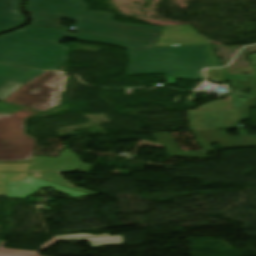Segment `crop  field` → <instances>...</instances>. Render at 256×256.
Listing matches in <instances>:
<instances>
[{
  "label": "crop field",
  "mask_w": 256,
  "mask_h": 256,
  "mask_svg": "<svg viewBox=\"0 0 256 256\" xmlns=\"http://www.w3.org/2000/svg\"><path fill=\"white\" fill-rule=\"evenodd\" d=\"M205 73L207 75V78L211 80H214L216 82H225L221 69H211Z\"/></svg>",
  "instance_id": "10"
},
{
  "label": "crop field",
  "mask_w": 256,
  "mask_h": 256,
  "mask_svg": "<svg viewBox=\"0 0 256 256\" xmlns=\"http://www.w3.org/2000/svg\"><path fill=\"white\" fill-rule=\"evenodd\" d=\"M180 45H210L191 26H165L155 47Z\"/></svg>",
  "instance_id": "6"
},
{
  "label": "crop field",
  "mask_w": 256,
  "mask_h": 256,
  "mask_svg": "<svg viewBox=\"0 0 256 256\" xmlns=\"http://www.w3.org/2000/svg\"><path fill=\"white\" fill-rule=\"evenodd\" d=\"M152 51H128L131 62L128 74L165 73L166 84L176 78L203 79L202 69L212 67L206 46L151 48Z\"/></svg>",
  "instance_id": "2"
},
{
  "label": "crop field",
  "mask_w": 256,
  "mask_h": 256,
  "mask_svg": "<svg viewBox=\"0 0 256 256\" xmlns=\"http://www.w3.org/2000/svg\"><path fill=\"white\" fill-rule=\"evenodd\" d=\"M63 76L61 73L48 70L26 83L6 102L27 108H30L29 105L35 104L31 109L44 112L60 104V83ZM36 87L40 89L35 94H30Z\"/></svg>",
  "instance_id": "4"
},
{
  "label": "crop field",
  "mask_w": 256,
  "mask_h": 256,
  "mask_svg": "<svg viewBox=\"0 0 256 256\" xmlns=\"http://www.w3.org/2000/svg\"><path fill=\"white\" fill-rule=\"evenodd\" d=\"M83 3L81 0H28L27 13L32 18L29 25L64 29L59 21L65 18L77 22L73 31L153 43L162 33L159 27L111 22V14L86 12L87 5Z\"/></svg>",
  "instance_id": "1"
},
{
  "label": "crop field",
  "mask_w": 256,
  "mask_h": 256,
  "mask_svg": "<svg viewBox=\"0 0 256 256\" xmlns=\"http://www.w3.org/2000/svg\"><path fill=\"white\" fill-rule=\"evenodd\" d=\"M55 241H57V239H55V238L51 239L50 241H48L47 243H45L44 245H42L39 250H42V249L46 248L47 246L51 245V244L54 243Z\"/></svg>",
  "instance_id": "12"
},
{
  "label": "crop field",
  "mask_w": 256,
  "mask_h": 256,
  "mask_svg": "<svg viewBox=\"0 0 256 256\" xmlns=\"http://www.w3.org/2000/svg\"><path fill=\"white\" fill-rule=\"evenodd\" d=\"M4 243L2 241L0 245V256H39L36 252L4 249Z\"/></svg>",
  "instance_id": "9"
},
{
  "label": "crop field",
  "mask_w": 256,
  "mask_h": 256,
  "mask_svg": "<svg viewBox=\"0 0 256 256\" xmlns=\"http://www.w3.org/2000/svg\"><path fill=\"white\" fill-rule=\"evenodd\" d=\"M69 47L61 44L0 37V62L54 70L67 61Z\"/></svg>",
  "instance_id": "3"
},
{
  "label": "crop field",
  "mask_w": 256,
  "mask_h": 256,
  "mask_svg": "<svg viewBox=\"0 0 256 256\" xmlns=\"http://www.w3.org/2000/svg\"><path fill=\"white\" fill-rule=\"evenodd\" d=\"M19 0H0V30L23 21L17 10Z\"/></svg>",
  "instance_id": "7"
},
{
  "label": "crop field",
  "mask_w": 256,
  "mask_h": 256,
  "mask_svg": "<svg viewBox=\"0 0 256 256\" xmlns=\"http://www.w3.org/2000/svg\"><path fill=\"white\" fill-rule=\"evenodd\" d=\"M207 47H208V50H209V54H210V57H211V61H212L213 67H220V66H219V62H218V59H217V58H214V56H213V54H212L211 46H207Z\"/></svg>",
  "instance_id": "11"
},
{
  "label": "crop field",
  "mask_w": 256,
  "mask_h": 256,
  "mask_svg": "<svg viewBox=\"0 0 256 256\" xmlns=\"http://www.w3.org/2000/svg\"><path fill=\"white\" fill-rule=\"evenodd\" d=\"M68 31L48 29L40 27L27 26L21 30L2 35V37L25 39V40H35V41H45V42H59L61 37H68L76 40L91 41V42H101L116 44L130 50H151L150 47H154L153 43H145L131 40H123L109 37L94 36L85 33L77 32L75 35L67 34Z\"/></svg>",
  "instance_id": "5"
},
{
  "label": "crop field",
  "mask_w": 256,
  "mask_h": 256,
  "mask_svg": "<svg viewBox=\"0 0 256 256\" xmlns=\"http://www.w3.org/2000/svg\"><path fill=\"white\" fill-rule=\"evenodd\" d=\"M61 240H75V241H90L92 247L102 246V245H122V236L109 237V234L104 235H91V234H70L63 236H55Z\"/></svg>",
  "instance_id": "8"
}]
</instances>
